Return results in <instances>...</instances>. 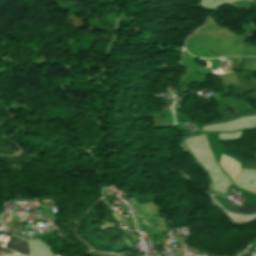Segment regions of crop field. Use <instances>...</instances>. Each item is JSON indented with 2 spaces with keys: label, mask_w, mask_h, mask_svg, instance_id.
Instances as JSON below:
<instances>
[{
  "label": "crop field",
  "mask_w": 256,
  "mask_h": 256,
  "mask_svg": "<svg viewBox=\"0 0 256 256\" xmlns=\"http://www.w3.org/2000/svg\"><path fill=\"white\" fill-rule=\"evenodd\" d=\"M229 211L232 213H252L256 211V203L249 206L235 207Z\"/></svg>",
  "instance_id": "obj_2"
},
{
  "label": "crop field",
  "mask_w": 256,
  "mask_h": 256,
  "mask_svg": "<svg viewBox=\"0 0 256 256\" xmlns=\"http://www.w3.org/2000/svg\"><path fill=\"white\" fill-rule=\"evenodd\" d=\"M0 252H3L5 256L10 255V254H16V253L9 251L3 247H0Z\"/></svg>",
  "instance_id": "obj_5"
},
{
  "label": "crop field",
  "mask_w": 256,
  "mask_h": 256,
  "mask_svg": "<svg viewBox=\"0 0 256 256\" xmlns=\"http://www.w3.org/2000/svg\"><path fill=\"white\" fill-rule=\"evenodd\" d=\"M244 69L256 71V57L245 58Z\"/></svg>",
  "instance_id": "obj_3"
},
{
  "label": "crop field",
  "mask_w": 256,
  "mask_h": 256,
  "mask_svg": "<svg viewBox=\"0 0 256 256\" xmlns=\"http://www.w3.org/2000/svg\"><path fill=\"white\" fill-rule=\"evenodd\" d=\"M244 56H256V46H244Z\"/></svg>",
  "instance_id": "obj_4"
},
{
  "label": "crop field",
  "mask_w": 256,
  "mask_h": 256,
  "mask_svg": "<svg viewBox=\"0 0 256 256\" xmlns=\"http://www.w3.org/2000/svg\"><path fill=\"white\" fill-rule=\"evenodd\" d=\"M7 246L17 251H20L26 255H29L28 244L25 241L11 237L10 242Z\"/></svg>",
  "instance_id": "obj_1"
}]
</instances>
